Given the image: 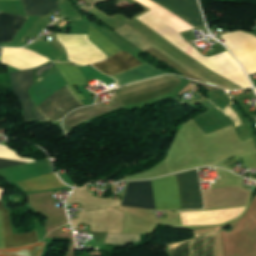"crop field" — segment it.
Listing matches in <instances>:
<instances>
[{"instance_id": "crop-field-1", "label": "crop field", "mask_w": 256, "mask_h": 256, "mask_svg": "<svg viewBox=\"0 0 256 256\" xmlns=\"http://www.w3.org/2000/svg\"><path fill=\"white\" fill-rule=\"evenodd\" d=\"M182 209L203 208L197 172L176 175ZM176 178L152 181L156 209H181ZM151 181L129 183L122 205L155 209Z\"/></svg>"}, {"instance_id": "crop-field-7", "label": "crop field", "mask_w": 256, "mask_h": 256, "mask_svg": "<svg viewBox=\"0 0 256 256\" xmlns=\"http://www.w3.org/2000/svg\"><path fill=\"white\" fill-rule=\"evenodd\" d=\"M121 107L120 103L114 104L112 106H101L95 105L86 108H82L74 111L65 117L63 121V127L66 133L70 132L73 128H75L78 124L89 120L91 118L97 117L99 115L105 114L113 109Z\"/></svg>"}, {"instance_id": "crop-field-3", "label": "crop field", "mask_w": 256, "mask_h": 256, "mask_svg": "<svg viewBox=\"0 0 256 256\" xmlns=\"http://www.w3.org/2000/svg\"><path fill=\"white\" fill-rule=\"evenodd\" d=\"M84 104L66 86L50 97L38 109L48 120H59L68 112L82 107Z\"/></svg>"}, {"instance_id": "crop-field-13", "label": "crop field", "mask_w": 256, "mask_h": 256, "mask_svg": "<svg viewBox=\"0 0 256 256\" xmlns=\"http://www.w3.org/2000/svg\"><path fill=\"white\" fill-rule=\"evenodd\" d=\"M89 39H91L100 49H102L106 54H108L109 57L121 51L93 27L90 28Z\"/></svg>"}, {"instance_id": "crop-field-6", "label": "crop field", "mask_w": 256, "mask_h": 256, "mask_svg": "<svg viewBox=\"0 0 256 256\" xmlns=\"http://www.w3.org/2000/svg\"><path fill=\"white\" fill-rule=\"evenodd\" d=\"M142 64L136 60L133 56L125 51H121L114 56L100 62L93 66L101 72L111 76L119 72L132 69Z\"/></svg>"}, {"instance_id": "crop-field-5", "label": "crop field", "mask_w": 256, "mask_h": 256, "mask_svg": "<svg viewBox=\"0 0 256 256\" xmlns=\"http://www.w3.org/2000/svg\"><path fill=\"white\" fill-rule=\"evenodd\" d=\"M182 20L199 28L205 26L197 0H151Z\"/></svg>"}, {"instance_id": "crop-field-12", "label": "crop field", "mask_w": 256, "mask_h": 256, "mask_svg": "<svg viewBox=\"0 0 256 256\" xmlns=\"http://www.w3.org/2000/svg\"><path fill=\"white\" fill-rule=\"evenodd\" d=\"M56 66L60 70L67 84H69L70 87L73 89L76 96L80 100L84 99L74 86V85H83L87 83L82 72L76 66L71 64L60 63V64H56Z\"/></svg>"}, {"instance_id": "crop-field-14", "label": "crop field", "mask_w": 256, "mask_h": 256, "mask_svg": "<svg viewBox=\"0 0 256 256\" xmlns=\"http://www.w3.org/2000/svg\"><path fill=\"white\" fill-rule=\"evenodd\" d=\"M46 242L20 249L0 250V256H41Z\"/></svg>"}, {"instance_id": "crop-field-8", "label": "crop field", "mask_w": 256, "mask_h": 256, "mask_svg": "<svg viewBox=\"0 0 256 256\" xmlns=\"http://www.w3.org/2000/svg\"><path fill=\"white\" fill-rule=\"evenodd\" d=\"M26 163L8 161L0 159V168L21 165ZM18 184L28 192L46 190L52 188L66 187L55 173L46 176L18 182Z\"/></svg>"}, {"instance_id": "crop-field-9", "label": "crop field", "mask_w": 256, "mask_h": 256, "mask_svg": "<svg viewBox=\"0 0 256 256\" xmlns=\"http://www.w3.org/2000/svg\"><path fill=\"white\" fill-rule=\"evenodd\" d=\"M0 209H3L6 248H18L38 242L35 232L24 235L11 234L9 213L5 210L2 201H0Z\"/></svg>"}, {"instance_id": "crop-field-4", "label": "crop field", "mask_w": 256, "mask_h": 256, "mask_svg": "<svg viewBox=\"0 0 256 256\" xmlns=\"http://www.w3.org/2000/svg\"><path fill=\"white\" fill-rule=\"evenodd\" d=\"M195 237L170 245L171 256H215V231L197 234Z\"/></svg>"}, {"instance_id": "crop-field-16", "label": "crop field", "mask_w": 256, "mask_h": 256, "mask_svg": "<svg viewBox=\"0 0 256 256\" xmlns=\"http://www.w3.org/2000/svg\"><path fill=\"white\" fill-rule=\"evenodd\" d=\"M3 193H4V190L0 189V196H2ZM0 199H1V197H0Z\"/></svg>"}, {"instance_id": "crop-field-2", "label": "crop field", "mask_w": 256, "mask_h": 256, "mask_svg": "<svg viewBox=\"0 0 256 256\" xmlns=\"http://www.w3.org/2000/svg\"><path fill=\"white\" fill-rule=\"evenodd\" d=\"M9 74L13 85V91L20 98L24 106L23 114L25 123L31 122L32 119L46 121L27 93V89L33 85V69L11 72Z\"/></svg>"}, {"instance_id": "crop-field-10", "label": "crop field", "mask_w": 256, "mask_h": 256, "mask_svg": "<svg viewBox=\"0 0 256 256\" xmlns=\"http://www.w3.org/2000/svg\"><path fill=\"white\" fill-rule=\"evenodd\" d=\"M161 74H169V73L159 71V70L149 66L147 63H145L137 68L122 72V73L114 75L112 77H114L117 80L118 86H120L123 84L152 78V77H155V76H158Z\"/></svg>"}, {"instance_id": "crop-field-11", "label": "crop field", "mask_w": 256, "mask_h": 256, "mask_svg": "<svg viewBox=\"0 0 256 256\" xmlns=\"http://www.w3.org/2000/svg\"><path fill=\"white\" fill-rule=\"evenodd\" d=\"M25 17L0 12V42H9Z\"/></svg>"}, {"instance_id": "crop-field-15", "label": "crop field", "mask_w": 256, "mask_h": 256, "mask_svg": "<svg viewBox=\"0 0 256 256\" xmlns=\"http://www.w3.org/2000/svg\"><path fill=\"white\" fill-rule=\"evenodd\" d=\"M0 249H5L2 210H0Z\"/></svg>"}]
</instances>
